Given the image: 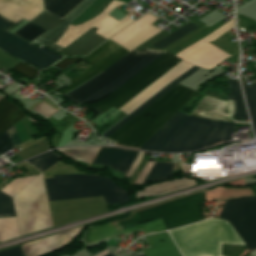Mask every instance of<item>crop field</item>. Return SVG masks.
Segmentation results:
<instances>
[{"instance_id":"3316defc","label":"crop field","mask_w":256,"mask_h":256,"mask_svg":"<svg viewBox=\"0 0 256 256\" xmlns=\"http://www.w3.org/2000/svg\"><path fill=\"white\" fill-rule=\"evenodd\" d=\"M42 1L44 11L61 19L81 0ZM42 11L41 0H0V15L15 24L22 18L30 22Z\"/></svg>"},{"instance_id":"22f410ed","label":"crop field","mask_w":256,"mask_h":256,"mask_svg":"<svg viewBox=\"0 0 256 256\" xmlns=\"http://www.w3.org/2000/svg\"><path fill=\"white\" fill-rule=\"evenodd\" d=\"M94 0H83L79 5L73 8L65 17L61 20L42 12L31 23L47 30L33 42L38 45H46L56 51L62 50V48L54 45L59 37L66 30L68 25L81 14Z\"/></svg>"},{"instance_id":"a9b5d70f","label":"crop field","mask_w":256,"mask_h":256,"mask_svg":"<svg viewBox=\"0 0 256 256\" xmlns=\"http://www.w3.org/2000/svg\"><path fill=\"white\" fill-rule=\"evenodd\" d=\"M228 84L230 93L227 100L231 101L228 115L249 120L243 98L240 97L242 94L239 83L236 81L228 80Z\"/></svg>"},{"instance_id":"cbeb9de0","label":"crop field","mask_w":256,"mask_h":256,"mask_svg":"<svg viewBox=\"0 0 256 256\" xmlns=\"http://www.w3.org/2000/svg\"><path fill=\"white\" fill-rule=\"evenodd\" d=\"M109 40L102 44L100 47H98L96 50H94L92 53H90L88 56H86L84 59H82L92 64L93 66L72 79L74 83L60 90L59 93L65 94L69 92L90 77L107 68L113 62H115L117 59L127 53L126 50Z\"/></svg>"},{"instance_id":"028f5c9d","label":"crop field","mask_w":256,"mask_h":256,"mask_svg":"<svg viewBox=\"0 0 256 256\" xmlns=\"http://www.w3.org/2000/svg\"><path fill=\"white\" fill-rule=\"evenodd\" d=\"M143 153H144V152H141V151L138 152V154H137V156H136V158H135L133 164L131 165L129 171H128L127 174H126V177L129 178V177L131 176V174L133 173V171L135 170V168H136L137 165L139 164V162H140V160H141V158H142Z\"/></svg>"},{"instance_id":"e1f06a70","label":"crop field","mask_w":256,"mask_h":256,"mask_svg":"<svg viewBox=\"0 0 256 256\" xmlns=\"http://www.w3.org/2000/svg\"><path fill=\"white\" fill-rule=\"evenodd\" d=\"M80 58H65L63 59L61 62H59L58 64L54 65L59 69H64L65 67L69 66L70 64L74 63L75 61H77Z\"/></svg>"},{"instance_id":"d9b57169","label":"crop field","mask_w":256,"mask_h":256,"mask_svg":"<svg viewBox=\"0 0 256 256\" xmlns=\"http://www.w3.org/2000/svg\"><path fill=\"white\" fill-rule=\"evenodd\" d=\"M140 230H142L145 234H147L155 231H158V232L165 231L166 228L161 219L153 222H149L146 224L138 225L124 231H120L116 227H114L112 224L107 223L97 227H89L83 240L87 244H89V243H92L104 238H108L114 235L128 234V233H132Z\"/></svg>"},{"instance_id":"4a817a6b","label":"crop field","mask_w":256,"mask_h":256,"mask_svg":"<svg viewBox=\"0 0 256 256\" xmlns=\"http://www.w3.org/2000/svg\"><path fill=\"white\" fill-rule=\"evenodd\" d=\"M82 228L83 226L31 243L24 244L21 247L25 256H39L69 242L80 232Z\"/></svg>"},{"instance_id":"dd49c442","label":"crop field","mask_w":256,"mask_h":256,"mask_svg":"<svg viewBox=\"0 0 256 256\" xmlns=\"http://www.w3.org/2000/svg\"><path fill=\"white\" fill-rule=\"evenodd\" d=\"M12 200L21 236L53 226L41 173Z\"/></svg>"},{"instance_id":"412701ff","label":"crop field","mask_w":256,"mask_h":256,"mask_svg":"<svg viewBox=\"0 0 256 256\" xmlns=\"http://www.w3.org/2000/svg\"><path fill=\"white\" fill-rule=\"evenodd\" d=\"M49 201L102 196L106 204L128 202V192L108 177L60 175L44 179Z\"/></svg>"},{"instance_id":"4177f3b9","label":"crop field","mask_w":256,"mask_h":256,"mask_svg":"<svg viewBox=\"0 0 256 256\" xmlns=\"http://www.w3.org/2000/svg\"><path fill=\"white\" fill-rule=\"evenodd\" d=\"M1 98V97H0ZM23 115L5 97L0 99V135L13 126Z\"/></svg>"},{"instance_id":"e52e79f7","label":"crop field","mask_w":256,"mask_h":256,"mask_svg":"<svg viewBox=\"0 0 256 256\" xmlns=\"http://www.w3.org/2000/svg\"><path fill=\"white\" fill-rule=\"evenodd\" d=\"M204 192L174 200L157 207L135 213L129 220L114 223L121 229L162 218L167 229L204 220L202 214Z\"/></svg>"},{"instance_id":"d8731c3e","label":"crop field","mask_w":256,"mask_h":256,"mask_svg":"<svg viewBox=\"0 0 256 256\" xmlns=\"http://www.w3.org/2000/svg\"><path fill=\"white\" fill-rule=\"evenodd\" d=\"M179 60L170 52H166L144 70L122 85L119 89L113 92L106 99L102 100L98 104L94 105L92 108L99 113H104L111 107H116L117 109L177 65L171 66L166 70L168 66Z\"/></svg>"},{"instance_id":"730fd06b","label":"crop field","mask_w":256,"mask_h":256,"mask_svg":"<svg viewBox=\"0 0 256 256\" xmlns=\"http://www.w3.org/2000/svg\"><path fill=\"white\" fill-rule=\"evenodd\" d=\"M242 88L248 107L254 135L256 137V83L251 87L247 84L242 83Z\"/></svg>"},{"instance_id":"34b2d1b8","label":"crop field","mask_w":256,"mask_h":256,"mask_svg":"<svg viewBox=\"0 0 256 256\" xmlns=\"http://www.w3.org/2000/svg\"><path fill=\"white\" fill-rule=\"evenodd\" d=\"M163 53L165 52L148 48L140 52L134 49L121 57L102 73L64 97L77 104L101 100Z\"/></svg>"},{"instance_id":"ac0d7876","label":"crop field","mask_w":256,"mask_h":256,"mask_svg":"<svg viewBox=\"0 0 256 256\" xmlns=\"http://www.w3.org/2000/svg\"><path fill=\"white\" fill-rule=\"evenodd\" d=\"M195 93L178 84L108 139L118 142V145L140 148Z\"/></svg>"},{"instance_id":"5a996713","label":"crop field","mask_w":256,"mask_h":256,"mask_svg":"<svg viewBox=\"0 0 256 256\" xmlns=\"http://www.w3.org/2000/svg\"><path fill=\"white\" fill-rule=\"evenodd\" d=\"M192 66L193 65L182 61L181 63H179L177 66H175L169 72H167L164 76H162L160 79H158L152 85H150L147 89H145L143 92H141L139 95H137L134 99H132L130 102H128L126 105H124L119 110H121L127 114L132 113L134 110H136L138 107H140L143 103H145L147 100H149L151 97H153L156 93H158L160 90H162L164 87H166L169 83H171L173 80H175L177 77H179L182 73H184L186 70H188ZM197 69H198V67H195V66L190 68L188 71H186L184 74H182L179 78H177L175 81H173L171 84H169L166 88H164L162 91H160L158 94H156L153 98H151L149 101H147L145 104H143L140 108H138L136 111H134L128 117H126L124 120H122L121 122L116 124L114 127H112L110 130H108L106 133H104L103 136L106 138L108 136H110L112 133H114L116 130H118L121 126H123L125 123H127L129 120H131L134 116H136L138 113H140L143 109H145L147 106H149L155 100H157L159 97H161L163 94H165L167 91H169L175 85H177L179 82H181L182 80L187 78L189 75H191Z\"/></svg>"},{"instance_id":"f4fd0767","label":"crop field","mask_w":256,"mask_h":256,"mask_svg":"<svg viewBox=\"0 0 256 256\" xmlns=\"http://www.w3.org/2000/svg\"><path fill=\"white\" fill-rule=\"evenodd\" d=\"M233 122L189 116L169 140L163 151L195 150L218 141L232 140Z\"/></svg>"},{"instance_id":"733c2abd","label":"crop field","mask_w":256,"mask_h":256,"mask_svg":"<svg viewBox=\"0 0 256 256\" xmlns=\"http://www.w3.org/2000/svg\"><path fill=\"white\" fill-rule=\"evenodd\" d=\"M137 152L116 148H101L92 164L106 165L126 174Z\"/></svg>"},{"instance_id":"d3111659","label":"crop field","mask_w":256,"mask_h":256,"mask_svg":"<svg viewBox=\"0 0 256 256\" xmlns=\"http://www.w3.org/2000/svg\"><path fill=\"white\" fill-rule=\"evenodd\" d=\"M197 27L198 26H196L194 23L191 22V23L185 25L184 27L180 28L176 32L168 35L167 37L159 40L158 42H156L150 46L153 48L161 49L164 46H166L167 44L175 41L176 39L184 36L185 34L191 32L192 30L196 29Z\"/></svg>"},{"instance_id":"5866460e","label":"crop field","mask_w":256,"mask_h":256,"mask_svg":"<svg viewBox=\"0 0 256 256\" xmlns=\"http://www.w3.org/2000/svg\"><path fill=\"white\" fill-rule=\"evenodd\" d=\"M153 165H154V163H151V162L147 163L145 168L140 173V175H139L137 181L135 182V184H142V182L144 181L145 177L147 176V174L149 173V171L151 170Z\"/></svg>"},{"instance_id":"d1516ede","label":"crop field","mask_w":256,"mask_h":256,"mask_svg":"<svg viewBox=\"0 0 256 256\" xmlns=\"http://www.w3.org/2000/svg\"><path fill=\"white\" fill-rule=\"evenodd\" d=\"M121 5L123 4L112 1L108 5V7L95 18L76 26L69 25L65 33L57 41L56 45L65 48L82 34H84L86 31H88L92 26L98 28L95 33L106 39L110 38L122 28L134 21L126 16L118 22L107 15L114 8Z\"/></svg>"},{"instance_id":"bd1437ed","label":"crop field","mask_w":256,"mask_h":256,"mask_svg":"<svg viewBox=\"0 0 256 256\" xmlns=\"http://www.w3.org/2000/svg\"><path fill=\"white\" fill-rule=\"evenodd\" d=\"M10 130L12 132L16 145L17 146L20 145L16 132L14 130V127H11ZM10 130H8L7 132H8L12 147L15 148L16 145L14 143ZM7 132H5L2 136H0V156L12 149Z\"/></svg>"},{"instance_id":"c035e120","label":"crop field","mask_w":256,"mask_h":256,"mask_svg":"<svg viewBox=\"0 0 256 256\" xmlns=\"http://www.w3.org/2000/svg\"><path fill=\"white\" fill-rule=\"evenodd\" d=\"M97 256H114V255L105 250V251H103L102 253H100V254L97 255Z\"/></svg>"},{"instance_id":"214f88e0","label":"crop field","mask_w":256,"mask_h":256,"mask_svg":"<svg viewBox=\"0 0 256 256\" xmlns=\"http://www.w3.org/2000/svg\"><path fill=\"white\" fill-rule=\"evenodd\" d=\"M145 239L151 248L142 250L144 256H181L167 232L147 236Z\"/></svg>"},{"instance_id":"92a150f3","label":"crop field","mask_w":256,"mask_h":256,"mask_svg":"<svg viewBox=\"0 0 256 256\" xmlns=\"http://www.w3.org/2000/svg\"><path fill=\"white\" fill-rule=\"evenodd\" d=\"M96 28L92 27L88 32L70 44L59 53L65 55H86L105 39L95 34Z\"/></svg>"},{"instance_id":"120bbe31","label":"crop field","mask_w":256,"mask_h":256,"mask_svg":"<svg viewBox=\"0 0 256 256\" xmlns=\"http://www.w3.org/2000/svg\"><path fill=\"white\" fill-rule=\"evenodd\" d=\"M11 70H14L16 72H19L29 78H34L35 76H37L38 72L36 70H34L33 68L20 63L17 66L13 67Z\"/></svg>"},{"instance_id":"bc2a9ffb","label":"crop field","mask_w":256,"mask_h":256,"mask_svg":"<svg viewBox=\"0 0 256 256\" xmlns=\"http://www.w3.org/2000/svg\"><path fill=\"white\" fill-rule=\"evenodd\" d=\"M187 116L177 112L159 131H157L140 149L162 151L170 137L184 122Z\"/></svg>"},{"instance_id":"0bd39190","label":"crop field","mask_w":256,"mask_h":256,"mask_svg":"<svg viewBox=\"0 0 256 256\" xmlns=\"http://www.w3.org/2000/svg\"><path fill=\"white\" fill-rule=\"evenodd\" d=\"M0 256H23L20 248L11 249L5 252H1Z\"/></svg>"},{"instance_id":"eef30255","label":"crop field","mask_w":256,"mask_h":256,"mask_svg":"<svg viewBox=\"0 0 256 256\" xmlns=\"http://www.w3.org/2000/svg\"><path fill=\"white\" fill-rule=\"evenodd\" d=\"M98 149L99 147L63 148V149H57V150L67 154L72 159H78L90 164L91 160L93 159Z\"/></svg>"},{"instance_id":"d32e631a","label":"crop field","mask_w":256,"mask_h":256,"mask_svg":"<svg viewBox=\"0 0 256 256\" xmlns=\"http://www.w3.org/2000/svg\"><path fill=\"white\" fill-rule=\"evenodd\" d=\"M34 110H36L38 113L42 114L47 118L56 111L43 102L39 106H37Z\"/></svg>"},{"instance_id":"ae1a2a85","label":"crop field","mask_w":256,"mask_h":256,"mask_svg":"<svg viewBox=\"0 0 256 256\" xmlns=\"http://www.w3.org/2000/svg\"><path fill=\"white\" fill-rule=\"evenodd\" d=\"M173 164L155 163L143 184L172 177Z\"/></svg>"},{"instance_id":"28ad6ade","label":"crop field","mask_w":256,"mask_h":256,"mask_svg":"<svg viewBox=\"0 0 256 256\" xmlns=\"http://www.w3.org/2000/svg\"><path fill=\"white\" fill-rule=\"evenodd\" d=\"M15 24L0 17V48L6 52L22 59L32 66L43 69L63 56L45 48L36 47L29 44L18 37L8 33L7 31Z\"/></svg>"},{"instance_id":"5142ce71","label":"crop field","mask_w":256,"mask_h":256,"mask_svg":"<svg viewBox=\"0 0 256 256\" xmlns=\"http://www.w3.org/2000/svg\"><path fill=\"white\" fill-rule=\"evenodd\" d=\"M157 19L158 18L147 13L144 17L113 36L110 40L130 52L151 36L162 31L151 25Z\"/></svg>"},{"instance_id":"00972430","label":"crop field","mask_w":256,"mask_h":256,"mask_svg":"<svg viewBox=\"0 0 256 256\" xmlns=\"http://www.w3.org/2000/svg\"><path fill=\"white\" fill-rule=\"evenodd\" d=\"M35 177V176H34ZM34 177L11 181L1 192L13 196ZM0 192V217L15 216L11 197Z\"/></svg>"},{"instance_id":"750c4746","label":"crop field","mask_w":256,"mask_h":256,"mask_svg":"<svg viewBox=\"0 0 256 256\" xmlns=\"http://www.w3.org/2000/svg\"><path fill=\"white\" fill-rule=\"evenodd\" d=\"M61 158L62 157H60L56 153L50 151L40 157L28 160L27 162H29L31 165H33L35 168L42 172L53 163L59 161Z\"/></svg>"},{"instance_id":"8a807250","label":"crop field","mask_w":256,"mask_h":256,"mask_svg":"<svg viewBox=\"0 0 256 256\" xmlns=\"http://www.w3.org/2000/svg\"><path fill=\"white\" fill-rule=\"evenodd\" d=\"M220 218L248 250L256 249V197L227 200ZM215 218L169 231L183 256H221V243L244 244Z\"/></svg>"},{"instance_id":"b80d0937","label":"crop field","mask_w":256,"mask_h":256,"mask_svg":"<svg viewBox=\"0 0 256 256\" xmlns=\"http://www.w3.org/2000/svg\"><path fill=\"white\" fill-rule=\"evenodd\" d=\"M180 167H181V169L183 171V174L190 173V165H188L186 163H183V162H180Z\"/></svg>"},{"instance_id":"1d83c4d3","label":"crop field","mask_w":256,"mask_h":256,"mask_svg":"<svg viewBox=\"0 0 256 256\" xmlns=\"http://www.w3.org/2000/svg\"><path fill=\"white\" fill-rule=\"evenodd\" d=\"M45 30L38 28L32 24H27L26 26H24L23 28H21L19 31H17L16 35L31 41L34 38H36L38 35H40L41 33H43Z\"/></svg>"},{"instance_id":"dafd665d","label":"crop field","mask_w":256,"mask_h":256,"mask_svg":"<svg viewBox=\"0 0 256 256\" xmlns=\"http://www.w3.org/2000/svg\"><path fill=\"white\" fill-rule=\"evenodd\" d=\"M195 185H197L196 182L191 179H175L167 182H162L142 189L138 192V194L136 193V199L149 196H160Z\"/></svg>"}]
</instances>
